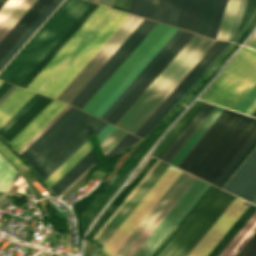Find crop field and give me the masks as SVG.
Wrapping results in <instances>:
<instances>
[{
    "instance_id": "crop-field-1",
    "label": "crop field",
    "mask_w": 256,
    "mask_h": 256,
    "mask_svg": "<svg viewBox=\"0 0 256 256\" xmlns=\"http://www.w3.org/2000/svg\"><path fill=\"white\" fill-rule=\"evenodd\" d=\"M128 16L99 5L27 89L56 99Z\"/></svg>"
},
{
    "instance_id": "crop-field-2",
    "label": "crop field",
    "mask_w": 256,
    "mask_h": 256,
    "mask_svg": "<svg viewBox=\"0 0 256 256\" xmlns=\"http://www.w3.org/2000/svg\"><path fill=\"white\" fill-rule=\"evenodd\" d=\"M256 132V119L225 109L178 168L211 184Z\"/></svg>"
},
{
    "instance_id": "crop-field-3",
    "label": "crop field",
    "mask_w": 256,
    "mask_h": 256,
    "mask_svg": "<svg viewBox=\"0 0 256 256\" xmlns=\"http://www.w3.org/2000/svg\"><path fill=\"white\" fill-rule=\"evenodd\" d=\"M214 42L195 34L116 126L134 134Z\"/></svg>"
},
{
    "instance_id": "crop-field-4",
    "label": "crop field",
    "mask_w": 256,
    "mask_h": 256,
    "mask_svg": "<svg viewBox=\"0 0 256 256\" xmlns=\"http://www.w3.org/2000/svg\"><path fill=\"white\" fill-rule=\"evenodd\" d=\"M90 4L83 0H65L1 72L0 79L19 85Z\"/></svg>"
},
{
    "instance_id": "crop-field-5",
    "label": "crop field",
    "mask_w": 256,
    "mask_h": 256,
    "mask_svg": "<svg viewBox=\"0 0 256 256\" xmlns=\"http://www.w3.org/2000/svg\"><path fill=\"white\" fill-rule=\"evenodd\" d=\"M176 30L157 23L82 110L100 118Z\"/></svg>"
},
{
    "instance_id": "crop-field-6",
    "label": "crop field",
    "mask_w": 256,
    "mask_h": 256,
    "mask_svg": "<svg viewBox=\"0 0 256 256\" xmlns=\"http://www.w3.org/2000/svg\"><path fill=\"white\" fill-rule=\"evenodd\" d=\"M234 198L213 187L157 256H187Z\"/></svg>"
},
{
    "instance_id": "crop-field-7",
    "label": "crop field",
    "mask_w": 256,
    "mask_h": 256,
    "mask_svg": "<svg viewBox=\"0 0 256 256\" xmlns=\"http://www.w3.org/2000/svg\"><path fill=\"white\" fill-rule=\"evenodd\" d=\"M256 84V51L242 47L203 99L235 110Z\"/></svg>"
},
{
    "instance_id": "crop-field-8",
    "label": "crop field",
    "mask_w": 256,
    "mask_h": 256,
    "mask_svg": "<svg viewBox=\"0 0 256 256\" xmlns=\"http://www.w3.org/2000/svg\"><path fill=\"white\" fill-rule=\"evenodd\" d=\"M194 179L182 172L113 256H132Z\"/></svg>"
},
{
    "instance_id": "crop-field-9",
    "label": "crop field",
    "mask_w": 256,
    "mask_h": 256,
    "mask_svg": "<svg viewBox=\"0 0 256 256\" xmlns=\"http://www.w3.org/2000/svg\"><path fill=\"white\" fill-rule=\"evenodd\" d=\"M181 171L169 166L113 235L101 248L106 256H112L175 179L180 175Z\"/></svg>"
},
{
    "instance_id": "crop-field-10",
    "label": "crop field",
    "mask_w": 256,
    "mask_h": 256,
    "mask_svg": "<svg viewBox=\"0 0 256 256\" xmlns=\"http://www.w3.org/2000/svg\"><path fill=\"white\" fill-rule=\"evenodd\" d=\"M142 20L143 18L130 15L120 26V28L112 35V37L105 43V45L90 60V62L75 77V79L60 94L57 100L69 104Z\"/></svg>"
},
{
    "instance_id": "crop-field-11",
    "label": "crop field",
    "mask_w": 256,
    "mask_h": 256,
    "mask_svg": "<svg viewBox=\"0 0 256 256\" xmlns=\"http://www.w3.org/2000/svg\"><path fill=\"white\" fill-rule=\"evenodd\" d=\"M88 116L71 107L21 155L34 168Z\"/></svg>"
},
{
    "instance_id": "crop-field-12",
    "label": "crop field",
    "mask_w": 256,
    "mask_h": 256,
    "mask_svg": "<svg viewBox=\"0 0 256 256\" xmlns=\"http://www.w3.org/2000/svg\"><path fill=\"white\" fill-rule=\"evenodd\" d=\"M155 24L144 19L70 104L81 109Z\"/></svg>"
},
{
    "instance_id": "crop-field-13",
    "label": "crop field",
    "mask_w": 256,
    "mask_h": 256,
    "mask_svg": "<svg viewBox=\"0 0 256 256\" xmlns=\"http://www.w3.org/2000/svg\"><path fill=\"white\" fill-rule=\"evenodd\" d=\"M193 35L194 33L184 31L165 52V54L157 61V63L149 70V72L141 79V81L133 88V90L125 97V99L117 106V108L109 115L106 121L115 125Z\"/></svg>"
},
{
    "instance_id": "crop-field-14",
    "label": "crop field",
    "mask_w": 256,
    "mask_h": 256,
    "mask_svg": "<svg viewBox=\"0 0 256 256\" xmlns=\"http://www.w3.org/2000/svg\"><path fill=\"white\" fill-rule=\"evenodd\" d=\"M206 185L196 178L133 256H148Z\"/></svg>"
},
{
    "instance_id": "crop-field-15",
    "label": "crop field",
    "mask_w": 256,
    "mask_h": 256,
    "mask_svg": "<svg viewBox=\"0 0 256 256\" xmlns=\"http://www.w3.org/2000/svg\"><path fill=\"white\" fill-rule=\"evenodd\" d=\"M248 205L236 197L188 256H207Z\"/></svg>"
},
{
    "instance_id": "crop-field-16",
    "label": "crop field",
    "mask_w": 256,
    "mask_h": 256,
    "mask_svg": "<svg viewBox=\"0 0 256 256\" xmlns=\"http://www.w3.org/2000/svg\"><path fill=\"white\" fill-rule=\"evenodd\" d=\"M182 105L178 108V110L171 116V118L166 122V124L159 130V132L151 139V141L145 146V148L126 166V168L118 175V177L112 182L109 188L101 195V197L90 206L84 216L83 227L85 231L91 224L92 220L99 213V211L108 203V201L112 198V196L116 193L119 187L123 184V182L130 175L132 170L138 164V162L142 159V157L146 154V152L152 147V145L158 140V138L162 135V133L166 130V128L170 125V123L180 114V112L184 109Z\"/></svg>"
},
{
    "instance_id": "crop-field-17",
    "label": "crop field",
    "mask_w": 256,
    "mask_h": 256,
    "mask_svg": "<svg viewBox=\"0 0 256 256\" xmlns=\"http://www.w3.org/2000/svg\"><path fill=\"white\" fill-rule=\"evenodd\" d=\"M222 189L250 202L256 197V147L223 185Z\"/></svg>"
},
{
    "instance_id": "crop-field-18",
    "label": "crop field",
    "mask_w": 256,
    "mask_h": 256,
    "mask_svg": "<svg viewBox=\"0 0 256 256\" xmlns=\"http://www.w3.org/2000/svg\"><path fill=\"white\" fill-rule=\"evenodd\" d=\"M159 164L164 165L166 167L169 166L161 161L159 162ZM159 164L153 169V171L148 175V177L143 181V183L138 187V189L133 193V195L128 199V201L113 217V219L109 222V224L99 234L97 238L102 243V245L107 241V239L111 236V234L116 230V228L121 224V222L126 218V216L140 201V199L145 195V193L150 189V187L165 171L166 167L161 166ZM97 238L94 241L101 248L102 245L97 240Z\"/></svg>"
},
{
    "instance_id": "crop-field-19",
    "label": "crop field",
    "mask_w": 256,
    "mask_h": 256,
    "mask_svg": "<svg viewBox=\"0 0 256 256\" xmlns=\"http://www.w3.org/2000/svg\"><path fill=\"white\" fill-rule=\"evenodd\" d=\"M100 122L101 120L90 115L82 124H80L63 142H61L34 168L40 178Z\"/></svg>"
},
{
    "instance_id": "crop-field-20",
    "label": "crop field",
    "mask_w": 256,
    "mask_h": 256,
    "mask_svg": "<svg viewBox=\"0 0 256 256\" xmlns=\"http://www.w3.org/2000/svg\"><path fill=\"white\" fill-rule=\"evenodd\" d=\"M158 1L136 0L132 13L152 20ZM182 3L183 0H160L153 20L175 26Z\"/></svg>"
},
{
    "instance_id": "crop-field-21",
    "label": "crop field",
    "mask_w": 256,
    "mask_h": 256,
    "mask_svg": "<svg viewBox=\"0 0 256 256\" xmlns=\"http://www.w3.org/2000/svg\"><path fill=\"white\" fill-rule=\"evenodd\" d=\"M53 0H37L0 41V60Z\"/></svg>"
},
{
    "instance_id": "crop-field-22",
    "label": "crop field",
    "mask_w": 256,
    "mask_h": 256,
    "mask_svg": "<svg viewBox=\"0 0 256 256\" xmlns=\"http://www.w3.org/2000/svg\"><path fill=\"white\" fill-rule=\"evenodd\" d=\"M65 106H66V104H63V103L53 100L43 111H41L9 143L18 152L33 136H35Z\"/></svg>"
},
{
    "instance_id": "crop-field-23",
    "label": "crop field",
    "mask_w": 256,
    "mask_h": 256,
    "mask_svg": "<svg viewBox=\"0 0 256 256\" xmlns=\"http://www.w3.org/2000/svg\"><path fill=\"white\" fill-rule=\"evenodd\" d=\"M156 161L157 159L150 158L148 162L142 167V169L137 173V175L131 180V182L127 186H125L122 191L117 195V197L108 207V209L97 221L96 225L89 232L92 238L110 218V216L115 212V210L120 206V204L125 200V198L130 194V192L135 188V186L140 182V180L145 176V174L150 170V168L155 164Z\"/></svg>"
},
{
    "instance_id": "crop-field-24",
    "label": "crop field",
    "mask_w": 256,
    "mask_h": 256,
    "mask_svg": "<svg viewBox=\"0 0 256 256\" xmlns=\"http://www.w3.org/2000/svg\"><path fill=\"white\" fill-rule=\"evenodd\" d=\"M223 42L216 41L213 46L206 52V54L198 61V63L191 69V71L183 78V80L176 86V88L168 95V97L160 104V106L153 112V114L145 121V123L135 133L141 136L153 120L160 114V112L169 104V102L177 95V93L186 85V83L194 76V74L203 66V64L211 57V55L220 47Z\"/></svg>"
},
{
    "instance_id": "crop-field-25",
    "label": "crop field",
    "mask_w": 256,
    "mask_h": 256,
    "mask_svg": "<svg viewBox=\"0 0 256 256\" xmlns=\"http://www.w3.org/2000/svg\"><path fill=\"white\" fill-rule=\"evenodd\" d=\"M214 107L215 105L211 106L205 104L203 108L197 113V115L191 120V122L185 127V129L180 133V135L174 140V142L168 147V149L162 154L160 159L169 163L170 160L194 133V131L214 109Z\"/></svg>"
},
{
    "instance_id": "crop-field-26",
    "label": "crop field",
    "mask_w": 256,
    "mask_h": 256,
    "mask_svg": "<svg viewBox=\"0 0 256 256\" xmlns=\"http://www.w3.org/2000/svg\"><path fill=\"white\" fill-rule=\"evenodd\" d=\"M97 4H91L89 8L81 15V17L72 25V27L64 34V36L56 43V45L48 52V54L40 61V63L31 71V73L23 80L20 86L26 88L43 67L51 60L58 50L66 43L80 25L95 10Z\"/></svg>"
},
{
    "instance_id": "crop-field-27",
    "label": "crop field",
    "mask_w": 256,
    "mask_h": 256,
    "mask_svg": "<svg viewBox=\"0 0 256 256\" xmlns=\"http://www.w3.org/2000/svg\"><path fill=\"white\" fill-rule=\"evenodd\" d=\"M207 0H184L177 27L197 32Z\"/></svg>"
},
{
    "instance_id": "crop-field-28",
    "label": "crop field",
    "mask_w": 256,
    "mask_h": 256,
    "mask_svg": "<svg viewBox=\"0 0 256 256\" xmlns=\"http://www.w3.org/2000/svg\"><path fill=\"white\" fill-rule=\"evenodd\" d=\"M34 95L35 93L17 87L0 105V126Z\"/></svg>"
},
{
    "instance_id": "crop-field-29",
    "label": "crop field",
    "mask_w": 256,
    "mask_h": 256,
    "mask_svg": "<svg viewBox=\"0 0 256 256\" xmlns=\"http://www.w3.org/2000/svg\"><path fill=\"white\" fill-rule=\"evenodd\" d=\"M52 99L42 96L33 106H31L11 127H9L0 137L10 141L19 131H21L41 110H43Z\"/></svg>"
},
{
    "instance_id": "crop-field-30",
    "label": "crop field",
    "mask_w": 256,
    "mask_h": 256,
    "mask_svg": "<svg viewBox=\"0 0 256 256\" xmlns=\"http://www.w3.org/2000/svg\"><path fill=\"white\" fill-rule=\"evenodd\" d=\"M204 103L196 101L193 106L178 120V122L171 128L170 132L159 144V146L153 152V156L159 158L181 130L187 125L197 111L202 107Z\"/></svg>"
},
{
    "instance_id": "crop-field-31",
    "label": "crop field",
    "mask_w": 256,
    "mask_h": 256,
    "mask_svg": "<svg viewBox=\"0 0 256 256\" xmlns=\"http://www.w3.org/2000/svg\"><path fill=\"white\" fill-rule=\"evenodd\" d=\"M96 161L94 150L92 149L82 160H80L63 178H61L52 188L58 196L71 182L83 173L91 164Z\"/></svg>"
},
{
    "instance_id": "crop-field-32",
    "label": "crop field",
    "mask_w": 256,
    "mask_h": 256,
    "mask_svg": "<svg viewBox=\"0 0 256 256\" xmlns=\"http://www.w3.org/2000/svg\"><path fill=\"white\" fill-rule=\"evenodd\" d=\"M182 32L183 30H177V32L169 39V41L161 48V50L154 56V58L147 64V66L140 72V74L132 81V83L104 113L101 119L105 120L108 117V115L116 108V106L124 99V97L132 90V88L140 81V79L147 73V71L155 64V62L163 55V53L171 46V44L179 37Z\"/></svg>"
},
{
    "instance_id": "crop-field-33",
    "label": "crop field",
    "mask_w": 256,
    "mask_h": 256,
    "mask_svg": "<svg viewBox=\"0 0 256 256\" xmlns=\"http://www.w3.org/2000/svg\"><path fill=\"white\" fill-rule=\"evenodd\" d=\"M62 0H54L49 7L41 14V16L34 22V24L26 31V33L18 40V42L10 49V51L0 61V70L11 59V57L19 50V48L26 42V40L33 34V32L40 26V24L48 17V15L55 9V7Z\"/></svg>"
},
{
    "instance_id": "crop-field-34",
    "label": "crop field",
    "mask_w": 256,
    "mask_h": 256,
    "mask_svg": "<svg viewBox=\"0 0 256 256\" xmlns=\"http://www.w3.org/2000/svg\"><path fill=\"white\" fill-rule=\"evenodd\" d=\"M93 148L90 139L82 145L68 160H66L52 175L44 182L50 188L58 181L71 167H73L85 154Z\"/></svg>"
},
{
    "instance_id": "crop-field-35",
    "label": "crop field",
    "mask_w": 256,
    "mask_h": 256,
    "mask_svg": "<svg viewBox=\"0 0 256 256\" xmlns=\"http://www.w3.org/2000/svg\"><path fill=\"white\" fill-rule=\"evenodd\" d=\"M227 42H224L221 47L213 54V56L206 62V64L198 71V73L190 80V82L183 88V90L175 97V99L167 106V108L159 115V117L152 123V125L141 136L143 138L149 134L153 128L160 122V120L167 114V112L174 106V104L182 97V95L189 89V87L196 81V79L204 72V70L211 64V62L218 56V54L225 48ZM228 46V45H227ZM226 46V47H227ZM220 55V54H219Z\"/></svg>"
},
{
    "instance_id": "crop-field-36",
    "label": "crop field",
    "mask_w": 256,
    "mask_h": 256,
    "mask_svg": "<svg viewBox=\"0 0 256 256\" xmlns=\"http://www.w3.org/2000/svg\"><path fill=\"white\" fill-rule=\"evenodd\" d=\"M256 222V212L252 215V217L247 221V223L242 227V229L237 233V235L232 239V241L227 245V247L222 251V253L219 256H226L225 254L227 253V251L230 250H234V248L238 245V243L242 240V238L246 235V233L251 229V227L255 224ZM256 225V224H255ZM254 225V226H255ZM253 226V227H254ZM252 227V229H253ZM251 229V230H252ZM250 230V231H251ZM249 231V232H250ZM256 231V226L254 227V229L248 234V236L243 240V242L237 247V249L235 250V254L232 251H228L227 255L229 256H234L238 253V251L243 247V245L248 241V239L253 235V233Z\"/></svg>"
},
{
    "instance_id": "crop-field-37",
    "label": "crop field",
    "mask_w": 256,
    "mask_h": 256,
    "mask_svg": "<svg viewBox=\"0 0 256 256\" xmlns=\"http://www.w3.org/2000/svg\"><path fill=\"white\" fill-rule=\"evenodd\" d=\"M255 211V206H253L252 208L248 207L208 256L219 255Z\"/></svg>"
},
{
    "instance_id": "crop-field-38",
    "label": "crop field",
    "mask_w": 256,
    "mask_h": 256,
    "mask_svg": "<svg viewBox=\"0 0 256 256\" xmlns=\"http://www.w3.org/2000/svg\"><path fill=\"white\" fill-rule=\"evenodd\" d=\"M240 0H229L217 38L227 40Z\"/></svg>"
},
{
    "instance_id": "crop-field-39",
    "label": "crop field",
    "mask_w": 256,
    "mask_h": 256,
    "mask_svg": "<svg viewBox=\"0 0 256 256\" xmlns=\"http://www.w3.org/2000/svg\"><path fill=\"white\" fill-rule=\"evenodd\" d=\"M36 0H23L0 26V40Z\"/></svg>"
},
{
    "instance_id": "crop-field-40",
    "label": "crop field",
    "mask_w": 256,
    "mask_h": 256,
    "mask_svg": "<svg viewBox=\"0 0 256 256\" xmlns=\"http://www.w3.org/2000/svg\"><path fill=\"white\" fill-rule=\"evenodd\" d=\"M256 143V133L253 137L248 141V143L244 146V148L239 152V154L234 158V160L230 163V165L225 169V171L220 175V177L215 181L214 185L220 187L221 184L226 180V178L231 174V172L236 168V166L241 162V160L245 157V155L250 151V149Z\"/></svg>"
},
{
    "instance_id": "crop-field-41",
    "label": "crop field",
    "mask_w": 256,
    "mask_h": 256,
    "mask_svg": "<svg viewBox=\"0 0 256 256\" xmlns=\"http://www.w3.org/2000/svg\"><path fill=\"white\" fill-rule=\"evenodd\" d=\"M16 170L0 155V191L6 188L13 176L16 174Z\"/></svg>"
},
{
    "instance_id": "crop-field-42",
    "label": "crop field",
    "mask_w": 256,
    "mask_h": 256,
    "mask_svg": "<svg viewBox=\"0 0 256 256\" xmlns=\"http://www.w3.org/2000/svg\"><path fill=\"white\" fill-rule=\"evenodd\" d=\"M210 187L211 185L209 184L206 186V188L201 192V194L196 198V200L191 204V206L186 210V212L181 216V218L176 222V224L171 228V230L165 235V237L160 241V243L155 247V249L150 253L149 256H153L158 251V249L174 232V230L179 226V224L184 220V218L189 214V212L194 208V206L199 202V200L204 196V194L209 190Z\"/></svg>"
},
{
    "instance_id": "crop-field-43",
    "label": "crop field",
    "mask_w": 256,
    "mask_h": 256,
    "mask_svg": "<svg viewBox=\"0 0 256 256\" xmlns=\"http://www.w3.org/2000/svg\"><path fill=\"white\" fill-rule=\"evenodd\" d=\"M140 140L139 138L127 133L118 143L117 145L106 155L108 158L107 161L111 160L114 158L116 155L124 151L126 148L134 144ZM106 161V162H107Z\"/></svg>"
},
{
    "instance_id": "crop-field-44",
    "label": "crop field",
    "mask_w": 256,
    "mask_h": 256,
    "mask_svg": "<svg viewBox=\"0 0 256 256\" xmlns=\"http://www.w3.org/2000/svg\"><path fill=\"white\" fill-rule=\"evenodd\" d=\"M125 134L126 132L116 128L100 145L102 152L106 155Z\"/></svg>"
},
{
    "instance_id": "crop-field-45",
    "label": "crop field",
    "mask_w": 256,
    "mask_h": 256,
    "mask_svg": "<svg viewBox=\"0 0 256 256\" xmlns=\"http://www.w3.org/2000/svg\"><path fill=\"white\" fill-rule=\"evenodd\" d=\"M216 0H208L198 32L199 34H206L212 13H213V9L215 6Z\"/></svg>"
},
{
    "instance_id": "crop-field-46",
    "label": "crop field",
    "mask_w": 256,
    "mask_h": 256,
    "mask_svg": "<svg viewBox=\"0 0 256 256\" xmlns=\"http://www.w3.org/2000/svg\"><path fill=\"white\" fill-rule=\"evenodd\" d=\"M41 95L36 94L30 101H28L16 114H14L2 127H0V135L11 126L31 105H33Z\"/></svg>"
},
{
    "instance_id": "crop-field-47",
    "label": "crop field",
    "mask_w": 256,
    "mask_h": 256,
    "mask_svg": "<svg viewBox=\"0 0 256 256\" xmlns=\"http://www.w3.org/2000/svg\"><path fill=\"white\" fill-rule=\"evenodd\" d=\"M238 47V45L234 44L231 51L222 59V61L215 67V69L211 72V74L206 78V80L201 84V86L184 102L185 105L189 104L190 101L195 97V95L200 91V89L215 75V73L219 70V68L224 64L227 58L231 55V53Z\"/></svg>"
},
{
    "instance_id": "crop-field-48",
    "label": "crop field",
    "mask_w": 256,
    "mask_h": 256,
    "mask_svg": "<svg viewBox=\"0 0 256 256\" xmlns=\"http://www.w3.org/2000/svg\"><path fill=\"white\" fill-rule=\"evenodd\" d=\"M22 0H8L0 9V25Z\"/></svg>"
},
{
    "instance_id": "crop-field-49",
    "label": "crop field",
    "mask_w": 256,
    "mask_h": 256,
    "mask_svg": "<svg viewBox=\"0 0 256 256\" xmlns=\"http://www.w3.org/2000/svg\"><path fill=\"white\" fill-rule=\"evenodd\" d=\"M256 253V232L236 256H253Z\"/></svg>"
},
{
    "instance_id": "crop-field-50",
    "label": "crop field",
    "mask_w": 256,
    "mask_h": 256,
    "mask_svg": "<svg viewBox=\"0 0 256 256\" xmlns=\"http://www.w3.org/2000/svg\"><path fill=\"white\" fill-rule=\"evenodd\" d=\"M256 98V85L250 91V93L246 96V98L241 102V104L237 107L236 111L244 113L245 110L250 106V104Z\"/></svg>"
},
{
    "instance_id": "crop-field-51",
    "label": "crop field",
    "mask_w": 256,
    "mask_h": 256,
    "mask_svg": "<svg viewBox=\"0 0 256 256\" xmlns=\"http://www.w3.org/2000/svg\"><path fill=\"white\" fill-rule=\"evenodd\" d=\"M70 106H66L47 126H45L31 141H29L18 153H22L28 146H30L45 130H47L62 114H64Z\"/></svg>"
},
{
    "instance_id": "crop-field-52",
    "label": "crop field",
    "mask_w": 256,
    "mask_h": 256,
    "mask_svg": "<svg viewBox=\"0 0 256 256\" xmlns=\"http://www.w3.org/2000/svg\"><path fill=\"white\" fill-rule=\"evenodd\" d=\"M89 134L78 143L65 157H63L49 172H47L41 179L44 181L56 168H58L76 149H78L88 138Z\"/></svg>"
},
{
    "instance_id": "crop-field-53",
    "label": "crop field",
    "mask_w": 256,
    "mask_h": 256,
    "mask_svg": "<svg viewBox=\"0 0 256 256\" xmlns=\"http://www.w3.org/2000/svg\"><path fill=\"white\" fill-rule=\"evenodd\" d=\"M255 6H256V0H248L247 1V4H246V7H245V10H244L242 19H241V23H240L238 32L241 29V27L244 25L246 20L249 18V16L251 15V13H252L253 9L255 8Z\"/></svg>"
},
{
    "instance_id": "crop-field-54",
    "label": "crop field",
    "mask_w": 256,
    "mask_h": 256,
    "mask_svg": "<svg viewBox=\"0 0 256 256\" xmlns=\"http://www.w3.org/2000/svg\"><path fill=\"white\" fill-rule=\"evenodd\" d=\"M222 2H223V0H217L216 6L214 9V13H213V16H212V19H211V22H210V25H209V28H208V31L206 34L207 36H210V37L212 36Z\"/></svg>"
},
{
    "instance_id": "crop-field-55",
    "label": "crop field",
    "mask_w": 256,
    "mask_h": 256,
    "mask_svg": "<svg viewBox=\"0 0 256 256\" xmlns=\"http://www.w3.org/2000/svg\"><path fill=\"white\" fill-rule=\"evenodd\" d=\"M0 151L16 166H21L23 165V163L15 156L13 155L8 149L7 147L0 142Z\"/></svg>"
},
{
    "instance_id": "crop-field-56",
    "label": "crop field",
    "mask_w": 256,
    "mask_h": 256,
    "mask_svg": "<svg viewBox=\"0 0 256 256\" xmlns=\"http://www.w3.org/2000/svg\"><path fill=\"white\" fill-rule=\"evenodd\" d=\"M115 129L111 125H107L96 137L99 140V145L107 138V136Z\"/></svg>"
},
{
    "instance_id": "crop-field-57",
    "label": "crop field",
    "mask_w": 256,
    "mask_h": 256,
    "mask_svg": "<svg viewBox=\"0 0 256 256\" xmlns=\"http://www.w3.org/2000/svg\"><path fill=\"white\" fill-rule=\"evenodd\" d=\"M131 2H132V0H126V3H125V0H114V5H118V6H124V3H125V6H124V8H122V7H118V6H112L113 8H117V9H121V10H123V11H126V12H128L129 11V8H130V5H131Z\"/></svg>"
},
{
    "instance_id": "crop-field-58",
    "label": "crop field",
    "mask_w": 256,
    "mask_h": 256,
    "mask_svg": "<svg viewBox=\"0 0 256 256\" xmlns=\"http://www.w3.org/2000/svg\"><path fill=\"white\" fill-rule=\"evenodd\" d=\"M227 1L228 0H224V2H223V5H222V8H221L219 17H218V21H217V24H216V27H215V30H214V33H213V36H212L213 38H216L218 29H219V26H220V23H221V20H222V17H223V14H224V11H225V8H226V5H227Z\"/></svg>"
},
{
    "instance_id": "crop-field-59",
    "label": "crop field",
    "mask_w": 256,
    "mask_h": 256,
    "mask_svg": "<svg viewBox=\"0 0 256 256\" xmlns=\"http://www.w3.org/2000/svg\"><path fill=\"white\" fill-rule=\"evenodd\" d=\"M256 26V15L255 17L252 19V21L250 22V24L248 25V27L246 28V30L244 31V33L242 34V36L239 38V40L237 41L238 44H241V42L243 41V39L247 36V34Z\"/></svg>"
},
{
    "instance_id": "crop-field-60",
    "label": "crop field",
    "mask_w": 256,
    "mask_h": 256,
    "mask_svg": "<svg viewBox=\"0 0 256 256\" xmlns=\"http://www.w3.org/2000/svg\"><path fill=\"white\" fill-rule=\"evenodd\" d=\"M158 162L159 160L156 162V164ZM155 165L151 168V170L155 167ZM150 171L146 174V176L150 173ZM145 177L141 180V182L145 179ZM141 182L136 186V188L141 184ZM136 188L131 192V194L136 190ZM131 194L126 198V200L131 196ZM126 200L121 204V206L126 202ZM121 206L116 210V212L121 208ZM116 212L111 216V218L116 214ZM111 218L106 222V224L111 220ZM106 224L101 228V230L106 226ZM101 230L96 234V236L101 232ZM96 236L93 238V240L96 238Z\"/></svg>"
},
{
    "instance_id": "crop-field-61",
    "label": "crop field",
    "mask_w": 256,
    "mask_h": 256,
    "mask_svg": "<svg viewBox=\"0 0 256 256\" xmlns=\"http://www.w3.org/2000/svg\"><path fill=\"white\" fill-rule=\"evenodd\" d=\"M19 173L17 172V174L15 175V177L12 179V181L10 182V184L8 185V187L5 189V191L3 192V194L0 197V204L4 198V196L6 195V193L9 191V189L11 188V186L14 184V182L16 181V179L19 177Z\"/></svg>"
},
{
    "instance_id": "crop-field-62",
    "label": "crop field",
    "mask_w": 256,
    "mask_h": 256,
    "mask_svg": "<svg viewBox=\"0 0 256 256\" xmlns=\"http://www.w3.org/2000/svg\"><path fill=\"white\" fill-rule=\"evenodd\" d=\"M107 125L105 122H101L96 128H94L92 131L94 132L95 136Z\"/></svg>"
},
{
    "instance_id": "crop-field-63",
    "label": "crop field",
    "mask_w": 256,
    "mask_h": 256,
    "mask_svg": "<svg viewBox=\"0 0 256 256\" xmlns=\"http://www.w3.org/2000/svg\"><path fill=\"white\" fill-rule=\"evenodd\" d=\"M11 84L3 82L0 86V97L7 91Z\"/></svg>"
},
{
    "instance_id": "crop-field-64",
    "label": "crop field",
    "mask_w": 256,
    "mask_h": 256,
    "mask_svg": "<svg viewBox=\"0 0 256 256\" xmlns=\"http://www.w3.org/2000/svg\"><path fill=\"white\" fill-rule=\"evenodd\" d=\"M256 43V32L254 35L248 40V42L245 44L246 46L252 48L253 45Z\"/></svg>"
},
{
    "instance_id": "crop-field-65",
    "label": "crop field",
    "mask_w": 256,
    "mask_h": 256,
    "mask_svg": "<svg viewBox=\"0 0 256 256\" xmlns=\"http://www.w3.org/2000/svg\"><path fill=\"white\" fill-rule=\"evenodd\" d=\"M95 165V163L90 167L88 168L76 181H74L64 192H62L61 194H64L67 190H69L82 176H84L93 166ZM60 194V195H61ZM59 195V196H60ZM58 196V197H59Z\"/></svg>"
},
{
    "instance_id": "crop-field-66",
    "label": "crop field",
    "mask_w": 256,
    "mask_h": 256,
    "mask_svg": "<svg viewBox=\"0 0 256 256\" xmlns=\"http://www.w3.org/2000/svg\"><path fill=\"white\" fill-rule=\"evenodd\" d=\"M256 109V100L251 104V106L246 110L245 114L251 115L252 112Z\"/></svg>"
},
{
    "instance_id": "crop-field-67",
    "label": "crop field",
    "mask_w": 256,
    "mask_h": 256,
    "mask_svg": "<svg viewBox=\"0 0 256 256\" xmlns=\"http://www.w3.org/2000/svg\"><path fill=\"white\" fill-rule=\"evenodd\" d=\"M98 4L106 5V6H112L113 0H98Z\"/></svg>"
},
{
    "instance_id": "crop-field-68",
    "label": "crop field",
    "mask_w": 256,
    "mask_h": 256,
    "mask_svg": "<svg viewBox=\"0 0 256 256\" xmlns=\"http://www.w3.org/2000/svg\"><path fill=\"white\" fill-rule=\"evenodd\" d=\"M16 88V86L12 85V87L3 95L0 99V103Z\"/></svg>"
},
{
    "instance_id": "crop-field-69",
    "label": "crop field",
    "mask_w": 256,
    "mask_h": 256,
    "mask_svg": "<svg viewBox=\"0 0 256 256\" xmlns=\"http://www.w3.org/2000/svg\"><path fill=\"white\" fill-rule=\"evenodd\" d=\"M134 3H135V0H133V2H132V5H131V8H130V13L132 12V9H133V6H134Z\"/></svg>"
},
{
    "instance_id": "crop-field-70",
    "label": "crop field",
    "mask_w": 256,
    "mask_h": 256,
    "mask_svg": "<svg viewBox=\"0 0 256 256\" xmlns=\"http://www.w3.org/2000/svg\"><path fill=\"white\" fill-rule=\"evenodd\" d=\"M7 0H0V8Z\"/></svg>"
},
{
    "instance_id": "crop-field-71",
    "label": "crop field",
    "mask_w": 256,
    "mask_h": 256,
    "mask_svg": "<svg viewBox=\"0 0 256 256\" xmlns=\"http://www.w3.org/2000/svg\"><path fill=\"white\" fill-rule=\"evenodd\" d=\"M252 116H255V117H256V110L253 112Z\"/></svg>"
},
{
    "instance_id": "crop-field-72",
    "label": "crop field",
    "mask_w": 256,
    "mask_h": 256,
    "mask_svg": "<svg viewBox=\"0 0 256 256\" xmlns=\"http://www.w3.org/2000/svg\"><path fill=\"white\" fill-rule=\"evenodd\" d=\"M91 1H92V2H95V3L97 2V0H91Z\"/></svg>"
},
{
    "instance_id": "crop-field-73",
    "label": "crop field",
    "mask_w": 256,
    "mask_h": 256,
    "mask_svg": "<svg viewBox=\"0 0 256 256\" xmlns=\"http://www.w3.org/2000/svg\"><path fill=\"white\" fill-rule=\"evenodd\" d=\"M253 49H256V44L254 45Z\"/></svg>"
},
{
    "instance_id": "crop-field-74",
    "label": "crop field",
    "mask_w": 256,
    "mask_h": 256,
    "mask_svg": "<svg viewBox=\"0 0 256 256\" xmlns=\"http://www.w3.org/2000/svg\"><path fill=\"white\" fill-rule=\"evenodd\" d=\"M253 203H255V204H256V199L253 201Z\"/></svg>"
},
{
    "instance_id": "crop-field-75",
    "label": "crop field",
    "mask_w": 256,
    "mask_h": 256,
    "mask_svg": "<svg viewBox=\"0 0 256 256\" xmlns=\"http://www.w3.org/2000/svg\"><path fill=\"white\" fill-rule=\"evenodd\" d=\"M2 83V81H0V84Z\"/></svg>"
},
{
    "instance_id": "crop-field-76",
    "label": "crop field",
    "mask_w": 256,
    "mask_h": 256,
    "mask_svg": "<svg viewBox=\"0 0 256 256\" xmlns=\"http://www.w3.org/2000/svg\"><path fill=\"white\" fill-rule=\"evenodd\" d=\"M90 1V0H89Z\"/></svg>"
}]
</instances>
